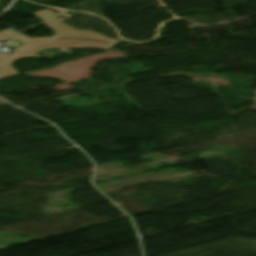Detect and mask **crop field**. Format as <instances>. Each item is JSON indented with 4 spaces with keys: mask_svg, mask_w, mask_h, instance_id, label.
<instances>
[{
    "mask_svg": "<svg viewBox=\"0 0 256 256\" xmlns=\"http://www.w3.org/2000/svg\"><path fill=\"white\" fill-rule=\"evenodd\" d=\"M17 34H19V33L14 32L10 29L4 30V31L0 32V42L8 40L10 38H13Z\"/></svg>",
    "mask_w": 256,
    "mask_h": 256,
    "instance_id": "2",
    "label": "crop field"
},
{
    "mask_svg": "<svg viewBox=\"0 0 256 256\" xmlns=\"http://www.w3.org/2000/svg\"><path fill=\"white\" fill-rule=\"evenodd\" d=\"M42 22L56 32L53 38L45 41L26 40L24 45H20L12 50V55L0 53V79L19 74L11 64L14 60L24 57H38L37 52L46 48H76V47H99L110 49L119 40L105 37L99 33L91 31H77L64 23L56 16V13L46 9L34 12Z\"/></svg>",
    "mask_w": 256,
    "mask_h": 256,
    "instance_id": "1",
    "label": "crop field"
}]
</instances>
